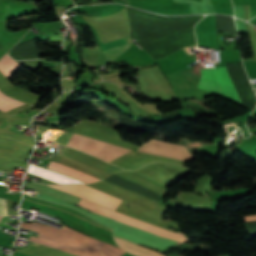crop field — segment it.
Instances as JSON below:
<instances>
[{"label":"crop field","instance_id":"8a807250","mask_svg":"<svg viewBox=\"0 0 256 256\" xmlns=\"http://www.w3.org/2000/svg\"><path fill=\"white\" fill-rule=\"evenodd\" d=\"M21 227L40 233L39 239L31 236L30 241L55 247L79 256H122L126 252L65 226L58 230L34 222L33 224L22 223Z\"/></svg>","mask_w":256,"mask_h":256},{"label":"crop field","instance_id":"ac0d7876","mask_svg":"<svg viewBox=\"0 0 256 256\" xmlns=\"http://www.w3.org/2000/svg\"><path fill=\"white\" fill-rule=\"evenodd\" d=\"M199 69L202 75L198 86L199 88L214 92L242 105L225 67Z\"/></svg>","mask_w":256,"mask_h":256},{"label":"crop field","instance_id":"34b2d1b8","mask_svg":"<svg viewBox=\"0 0 256 256\" xmlns=\"http://www.w3.org/2000/svg\"><path fill=\"white\" fill-rule=\"evenodd\" d=\"M76 204H78L80 206H83V207H86V208H88V209H90V210H92L96 213L102 214L104 216H107V217L112 218L114 220H117L119 222H121L123 220V218L125 217V215H123V214L117 213L115 211L109 210V209L104 208V207L97 206V205H95L93 203H90L88 201H85L81 198L78 199ZM122 223L135 226L137 228L143 229L145 231H148L150 233L156 234V235L161 236V237H165V238H169V239H173V240H177V241H181V242H188L189 241L184 236L183 233H172V232H169L170 230L167 231L163 228H160V227H157V226H154V225H151V224H148V223L130 218L128 216H126L124 218Z\"/></svg>","mask_w":256,"mask_h":256},{"label":"crop field","instance_id":"412701ff","mask_svg":"<svg viewBox=\"0 0 256 256\" xmlns=\"http://www.w3.org/2000/svg\"><path fill=\"white\" fill-rule=\"evenodd\" d=\"M66 145L80 149L108 162L131 151L130 149L111 145L75 133H73Z\"/></svg>","mask_w":256,"mask_h":256},{"label":"crop field","instance_id":"f4fd0767","mask_svg":"<svg viewBox=\"0 0 256 256\" xmlns=\"http://www.w3.org/2000/svg\"><path fill=\"white\" fill-rule=\"evenodd\" d=\"M67 192H70L76 196L87 199L94 203L110 207L114 210L121 204L122 200L117 199L113 196L105 194L101 191L93 189L84 184L77 185H49Z\"/></svg>","mask_w":256,"mask_h":256},{"label":"crop field","instance_id":"dd49c442","mask_svg":"<svg viewBox=\"0 0 256 256\" xmlns=\"http://www.w3.org/2000/svg\"><path fill=\"white\" fill-rule=\"evenodd\" d=\"M138 151L178 159L185 162L194 158L185 146L174 145L154 139H151L140 146Z\"/></svg>","mask_w":256,"mask_h":256},{"label":"crop field","instance_id":"e52e79f7","mask_svg":"<svg viewBox=\"0 0 256 256\" xmlns=\"http://www.w3.org/2000/svg\"><path fill=\"white\" fill-rule=\"evenodd\" d=\"M28 172L30 173H34L38 176L44 177V178H48L51 179L59 184H68V183H83L80 181H77L71 177H68L66 175H61V174H57L53 171L50 170H45L43 168H39L37 166L34 165H30V168L28 170Z\"/></svg>","mask_w":256,"mask_h":256},{"label":"crop field","instance_id":"d8731c3e","mask_svg":"<svg viewBox=\"0 0 256 256\" xmlns=\"http://www.w3.org/2000/svg\"><path fill=\"white\" fill-rule=\"evenodd\" d=\"M48 168L59 171V172H62V173L66 174V175H69L71 177L78 178V179H80V180H82L86 183L100 180L98 178L87 175V174H85L81 171H78L76 169L68 168V167H66V166H64L60 163H57V162H50Z\"/></svg>","mask_w":256,"mask_h":256},{"label":"crop field","instance_id":"5a996713","mask_svg":"<svg viewBox=\"0 0 256 256\" xmlns=\"http://www.w3.org/2000/svg\"><path fill=\"white\" fill-rule=\"evenodd\" d=\"M104 56H119L130 47L122 39H117L100 45Z\"/></svg>","mask_w":256,"mask_h":256},{"label":"crop field","instance_id":"3316defc","mask_svg":"<svg viewBox=\"0 0 256 256\" xmlns=\"http://www.w3.org/2000/svg\"><path fill=\"white\" fill-rule=\"evenodd\" d=\"M115 240L120 247H122L123 249H125L135 255H138V256H163L159 253H155V252L149 251L147 249H144L142 247L136 246L128 241L120 240L117 238H115Z\"/></svg>","mask_w":256,"mask_h":256},{"label":"crop field","instance_id":"28ad6ade","mask_svg":"<svg viewBox=\"0 0 256 256\" xmlns=\"http://www.w3.org/2000/svg\"><path fill=\"white\" fill-rule=\"evenodd\" d=\"M19 66L20 65L9 58L7 54L0 59V71L6 76V78H8Z\"/></svg>","mask_w":256,"mask_h":256},{"label":"crop field","instance_id":"d1516ede","mask_svg":"<svg viewBox=\"0 0 256 256\" xmlns=\"http://www.w3.org/2000/svg\"><path fill=\"white\" fill-rule=\"evenodd\" d=\"M23 104L25 103L11 99L0 92V110L1 111L7 112Z\"/></svg>","mask_w":256,"mask_h":256},{"label":"crop field","instance_id":"22f410ed","mask_svg":"<svg viewBox=\"0 0 256 256\" xmlns=\"http://www.w3.org/2000/svg\"><path fill=\"white\" fill-rule=\"evenodd\" d=\"M0 212L8 214L7 206H6V201H5V199H2V198H0ZM3 213H0V220L3 217V215H4Z\"/></svg>","mask_w":256,"mask_h":256},{"label":"crop field","instance_id":"cbeb9de0","mask_svg":"<svg viewBox=\"0 0 256 256\" xmlns=\"http://www.w3.org/2000/svg\"><path fill=\"white\" fill-rule=\"evenodd\" d=\"M245 221H255L256 220V215H252V216H246L244 217Z\"/></svg>","mask_w":256,"mask_h":256}]
</instances>
